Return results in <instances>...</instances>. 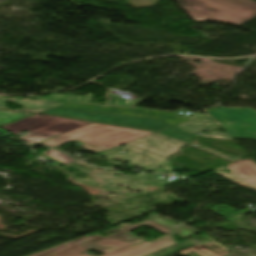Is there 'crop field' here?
Returning a JSON list of instances; mask_svg holds the SVG:
<instances>
[{
  "label": "crop field",
  "mask_w": 256,
  "mask_h": 256,
  "mask_svg": "<svg viewBox=\"0 0 256 256\" xmlns=\"http://www.w3.org/2000/svg\"><path fill=\"white\" fill-rule=\"evenodd\" d=\"M41 113L155 131L188 144L199 137L198 132L217 126L209 116L188 119L171 111L96 104L66 103Z\"/></svg>",
  "instance_id": "crop-field-1"
},
{
  "label": "crop field",
  "mask_w": 256,
  "mask_h": 256,
  "mask_svg": "<svg viewBox=\"0 0 256 256\" xmlns=\"http://www.w3.org/2000/svg\"><path fill=\"white\" fill-rule=\"evenodd\" d=\"M152 221L172 230L173 234L157 239L153 242H149L142 238L129 234L130 231L145 225H149L165 234L171 233L166 228L148 220L138 225H121L117 227L118 233L109 237H100L98 235H91L89 237H82L76 240H72L58 246L43 250L41 252L32 254L30 256H93L85 254V251L89 249H96L102 253V256H148L178 242L174 241L172 235L179 234L182 238H185L195 232L160 219L152 214L149 218ZM88 244H97L98 248H88Z\"/></svg>",
  "instance_id": "crop-field-2"
},
{
  "label": "crop field",
  "mask_w": 256,
  "mask_h": 256,
  "mask_svg": "<svg viewBox=\"0 0 256 256\" xmlns=\"http://www.w3.org/2000/svg\"><path fill=\"white\" fill-rule=\"evenodd\" d=\"M150 134H153V132L130 130L92 123L37 144L55 147L72 140H78L84 143L81 148L102 152Z\"/></svg>",
  "instance_id": "crop-field-3"
},
{
  "label": "crop field",
  "mask_w": 256,
  "mask_h": 256,
  "mask_svg": "<svg viewBox=\"0 0 256 256\" xmlns=\"http://www.w3.org/2000/svg\"><path fill=\"white\" fill-rule=\"evenodd\" d=\"M126 145L127 146L124 148L118 147L107 151L103 153V156L106 159L111 160L120 156L119 153L130 149L136 153L128 152L124 157H120L130 163L139 164L137 166L138 169L165 173L167 170H162L160 167H162L163 163H167V160L181 150L186 144L155 133ZM151 158H155L163 163L156 162Z\"/></svg>",
  "instance_id": "crop-field-4"
},
{
  "label": "crop field",
  "mask_w": 256,
  "mask_h": 256,
  "mask_svg": "<svg viewBox=\"0 0 256 256\" xmlns=\"http://www.w3.org/2000/svg\"><path fill=\"white\" fill-rule=\"evenodd\" d=\"M196 22L212 20L240 25L256 16L253 0H177Z\"/></svg>",
  "instance_id": "crop-field-5"
},
{
  "label": "crop field",
  "mask_w": 256,
  "mask_h": 256,
  "mask_svg": "<svg viewBox=\"0 0 256 256\" xmlns=\"http://www.w3.org/2000/svg\"><path fill=\"white\" fill-rule=\"evenodd\" d=\"M89 123L91 122L53 116L33 115L2 127L14 134L26 130L32 132L18 138L19 140L32 145Z\"/></svg>",
  "instance_id": "crop-field-6"
},
{
  "label": "crop field",
  "mask_w": 256,
  "mask_h": 256,
  "mask_svg": "<svg viewBox=\"0 0 256 256\" xmlns=\"http://www.w3.org/2000/svg\"><path fill=\"white\" fill-rule=\"evenodd\" d=\"M206 112L233 139L256 140V110L252 108H216Z\"/></svg>",
  "instance_id": "crop-field-7"
},
{
  "label": "crop field",
  "mask_w": 256,
  "mask_h": 256,
  "mask_svg": "<svg viewBox=\"0 0 256 256\" xmlns=\"http://www.w3.org/2000/svg\"><path fill=\"white\" fill-rule=\"evenodd\" d=\"M233 173L216 172V174L239 185L256 188V163L248 157L226 165Z\"/></svg>",
  "instance_id": "crop-field-8"
},
{
  "label": "crop field",
  "mask_w": 256,
  "mask_h": 256,
  "mask_svg": "<svg viewBox=\"0 0 256 256\" xmlns=\"http://www.w3.org/2000/svg\"><path fill=\"white\" fill-rule=\"evenodd\" d=\"M205 238H207L208 240L212 241V244H214L215 246L219 247L220 249H222L223 251H221L220 249L216 248L215 246L211 245L210 243L209 244H205L207 246H209L210 248L214 249L215 251L221 253L222 255L224 256H227L228 254V248H226L225 246L221 245L220 243H218L217 241L213 240L212 238L202 234ZM192 246L198 248L199 250L205 252L206 254L210 255V256H221L220 254L214 252L213 250L203 246L202 244L201 245H194L192 243H190L188 240L182 242V243H179L175 246H172L168 249H165L163 251H160L158 253H155L153 255H150V256H166L168 254H171V253H176V252H179V253H182V254H187L191 251H194L202 256H208L206 254H204L203 252L193 248Z\"/></svg>",
  "instance_id": "crop-field-9"
},
{
  "label": "crop field",
  "mask_w": 256,
  "mask_h": 256,
  "mask_svg": "<svg viewBox=\"0 0 256 256\" xmlns=\"http://www.w3.org/2000/svg\"><path fill=\"white\" fill-rule=\"evenodd\" d=\"M69 96V97H67ZM92 94H87V96H73L70 94H50L49 98L47 97H38V96H29L28 98L32 99H42V100H52V101H62V102H78V103H91ZM78 99V101H76Z\"/></svg>",
  "instance_id": "crop-field-10"
},
{
  "label": "crop field",
  "mask_w": 256,
  "mask_h": 256,
  "mask_svg": "<svg viewBox=\"0 0 256 256\" xmlns=\"http://www.w3.org/2000/svg\"><path fill=\"white\" fill-rule=\"evenodd\" d=\"M46 156L52 157L64 164H68L71 163L73 161H76L75 159L65 155L64 153L58 151V150H54V149H50L48 151H46L45 153H43Z\"/></svg>",
  "instance_id": "crop-field-11"
},
{
  "label": "crop field",
  "mask_w": 256,
  "mask_h": 256,
  "mask_svg": "<svg viewBox=\"0 0 256 256\" xmlns=\"http://www.w3.org/2000/svg\"><path fill=\"white\" fill-rule=\"evenodd\" d=\"M203 136H205V137H214V138L231 139L226 133L215 132V131H211V132H209V133H207V134H205Z\"/></svg>",
  "instance_id": "crop-field-12"
}]
</instances>
